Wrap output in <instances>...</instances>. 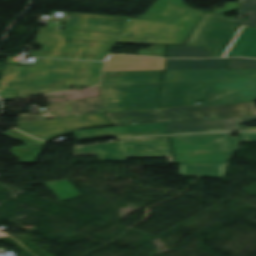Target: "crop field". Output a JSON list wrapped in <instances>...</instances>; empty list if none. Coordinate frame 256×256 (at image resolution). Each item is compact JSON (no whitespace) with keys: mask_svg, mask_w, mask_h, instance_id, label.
<instances>
[{"mask_svg":"<svg viewBox=\"0 0 256 256\" xmlns=\"http://www.w3.org/2000/svg\"><path fill=\"white\" fill-rule=\"evenodd\" d=\"M59 201L74 198L80 194L69 181L45 184Z\"/></svg>","mask_w":256,"mask_h":256,"instance_id":"24","label":"crop field"},{"mask_svg":"<svg viewBox=\"0 0 256 256\" xmlns=\"http://www.w3.org/2000/svg\"><path fill=\"white\" fill-rule=\"evenodd\" d=\"M104 71L163 70L165 59L112 55Z\"/></svg>","mask_w":256,"mask_h":256,"instance_id":"15","label":"crop field"},{"mask_svg":"<svg viewBox=\"0 0 256 256\" xmlns=\"http://www.w3.org/2000/svg\"><path fill=\"white\" fill-rule=\"evenodd\" d=\"M228 69H256V60L230 59Z\"/></svg>","mask_w":256,"mask_h":256,"instance_id":"27","label":"crop field"},{"mask_svg":"<svg viewBox=\"0 0 256 256\" xmlns=\"http://www.w3.org/2000/svg\"><path fill=\"white\" fill-rule=\"evenodd\" d=\"M44 146L12 148V152L20 160V163H35Z\"/></svg>","mask_w":256,"mask_h":256,"instance_id":"26","label":"crop field"},{"mask_svg":"<svg viewBox=\"0 0 256 256\" xmlns=\"http://www.w3.org/2000/svg\"><path fill=\"white\" fill-rule=\"evenodd\" d=\"M202 11L181 0H157L140 18H131L117 43L182 45Z\"/></svg>","mask_w":256,"mask_h":256,"instance_id":"2","label":"crop field"},{"mask_svg":"<svg viewBox=\"0 0 256 256\" xmlns=\"http://www.w3.org/2000/svg\"><path fill=\"white\" fill-rule=\"evenodd\" d=\"M130 18L72 13L64 28L121 33Z\"/></svg>","mask_w":256,"mask_h":256,"instance_id":"13","label":"crop field"},{"mask_svg":"<svg viewBox=\"0 0 256 256\" xmlns=\"http://www.w3.org/2000/svg\"><path fill=\"white\" fill-rule=\"evenodd\" d=\"M165 46H152L148 49H140L136 55H152L164 57Z\"/></svg>","mask_w":256,"mask_h":256,"instance_id":"30","label":"crop field"},{"mask_svg":"<svg viewBox=\"0 0 256 256\" xmlns=\"http://www.w3.org/2000/svg\"><path fill=\"white\" fill-rule=\"evenodd\" d=\"M70 133H72L78 141L99 138L165 134L162 123L128 127H108L100 129L74 131Z\"/></svg>","mask_w":256,"mask_h":256,"instance_id":"12","label":"crop field"},{"mask_svg":"<svg viewBox=\"0 0 256 256\" xmlns=\"http://www.w3.org/2000/svg\"><path fill=\"white\" fill-rule=\"evenodd\" d=\"M177 164H227L238 150L229 133L169 137Z\"/></svg>","mask_w":256,"mask_h":256,"instance_id":"5","label":"crop field"},{"mask_svg":"<svg viewBox=\"0 0 256 256\" xmlns=\"http://www.w3.org/2000/svg\"><path fill=\"white\" fill-rule=\"evenodd\" d=\"M207 82L203 104L256 101V70L166 71L163 84Z\"/></svg>","mask_w":256,"mask_h":256,"instance_id":"3","label":"crop field"},{"mask_svg":"<svg viewBox=\"0 0 256 256\" xmlns=\"http://www.w3.org/2000/svg\"><path fill=\"white\" fill-rule=\"evenodd\" d=\"M206 83L162 85L160 104L162 107L195 105L201 101Z\"/></svg>","mask_w":256,"mask_h":256,"instance_id":"14","label":"crop field"},{"mask_svg":"<svg viewBox=\"0 0 256 256\" xmlns=\"http://www.w3.org/2000/svg\"><path fill=\"white\" fill-rule=\"evenodd\" d=\"M228 59L168 60L166 70L226 69Z\"/></svg>","mask_w":256,"mask_h":256,"instance_id":"20","label":"crop field"},{"mask_svg":"<svg viewBox=\"0 0 256 256\" xmlns=\"http://www.w3.org/2000/svg\"><path fill=\"white\" fill-rule=\"evenodd\" d=\"M110 125L103 114L83 115L77 117L36 121L18 124L16 129L35 138L49 141L69 134L67 130Z\"/></svg>","mask_w":256,"mask_h":256,"instance_id":"7","label":"crop field"},{"mask_svg":"<svg viewBox=\"0 0 256 256\" xmlns=\"http://www.w3.org/2000/svg\"><path fill=\"white\" fill-rule=\"evenodd\" d=\"M239 5H240V3L227 2L222 9L214 8L213 12L219 13L218 16H217V19H221V20H225V21L235 23L236 19H231V18L220 16V15L225 13V12L237 9L239 7Z\"/></svg>","mask_w":256,"mask_h":256,"instance_id":"29","label":"crop field"},{"mask_svg":"<svg viewBox=\"0 0 256 256\" xmlns=\"http://www.w3.org/2000/svg\"><path fill=\"white\" fill-rule=\"evenodd\" d=\"M118 35L39 28L37 44L44 48L32 56L103 60Z\"/></svg>","mask_w":256,"mask_h":256,"instance_id":"4","label":"crop field"},{"mask_svg":"<svg viewBox=\"0 0 256 256\" xmlns=\"http://www.w3.org/2000/svg\"><path fill=\"white\" fill-rule=\"evenodd\" d=\"M113 125L161 122L159 110L107 114Z\"/></svg>","mask_w":256,"mask_h":256,"instance_id":"19","label":"crop field"},{"mask_svg":"<svg viewBox=\"0 0 256 256\" xmlns=\"http://www.w3.org/2000/svg\"><path fill=\"white\" fill-rule=\"evenodd\" d=\"M241 2L236 23L256 27V0H238ZM241 15L247 16L240 20Z\"/></svg>","mask_w":256,"mask_h":256,"instance_id":"23","label":"crop field"},{"mask_svg":"<svg viewBox=\"0 0 256 256\" xmlns=\"http://www.w3.org/2000/svg\"><path fill=\"white\" fill-rule=\"evenodd\" d=\"M48 108L53 114V118L84 113L104 112L100 97L53 103L49 105Z\"/></svg>","mask_w":256,"mask_h":256,"instance_id":"17","label":"crop field"},{"mask_svg":"<svg viewBox=\"0 0 256 256\" xmlns=\"http://www.w3.org/2000/svg\"><path fill=\"white\" fill-rule=\"evenodd\" d=\"M165 121L200 119L209 117L210 119L253 116L256 115V105L254 102L197 106L189 108H175L161 110Z\"/></svg>","mask_w":256,"mask_h":256,"instance_id":"9","label":"crop field"},{"mask_svg":"<svg viewBox=\"0 0 256 256\" xmlns=\"http://www.w3.org/2000/svg\"><path fill=\"white\" fill-rule=\"evenodd\" d=\"M42 119H46V118H43L41 116H35V115H24V116H19L18 123L28 122V121H35V120H42Z\"/></svg>","mask_w":256,"mask_h":256,"instance_id":"33","label":"crop field"},{"mask_svg":"<svg viewBox=\"0 0 256 256\" xmlns=\"http://www.w3.org/2000/svg\"><path fill=\"white\" fill-rule=\"evenodd\" d=\"M176 57H210L205 47L168 46V58Z\"/></svg>","mask_w":256,"mask_h":256,"instance_id":"22","label":"crop field"},{"mask_svg":"<svg viewBox=\"0 0 256 256\" xmlns=\"http://www.w3.org/2000/svg\"><path fill=\"white\" fill-rule=\"evenodd\" d=\"M159 85L100 86L108 112L158 108Z\"/></svg>","mask_w":256,"mask_h":256,"instance_id":"6","label":"crop field"},{"mask_svg":"<svg viewBox=\"0 0 256 256\" xmlns=\"http://www.w3.org/2000/svg\"><path fill=\"white\" fill-rule=\"evenodd\" d=\"M256 121L254 117L225 118L165 123L169 134L243 131L240 123Z\"/></svg>","mask_w":256,"mask_h":256,"instance_id":"11","label":"crop field"},{"mask_svg":"<svg viewBox=\"0 0 256 256\" xmlns=\"http://www.w3.org/2000/svg\"><path fill=\"white\" fill-rule=\"evenodd\" d=\"M25 145H35V144H43V143H46V142H41V141H38V140H35V139H32L14 129H11L5 133H3Z\"/></svg>","mask_w":256,"mask_h":256,"instance_id":"28","label":"crop field"},{"mask_svg":"<svg viewBox=\"0 0 256 256\" xmlns=\"http://www.w3.org/2000/svg\"><path fill=\"white\" fill-rule=\"evenodd\" d=\"M239 143L256 142V132L253 133H239Z\"/></svg>","mask_w":256,"mask_h":256,"instance_id":"31","label":"crop field"},{"mask_svg":"<svg viewBox=\"0 0 256 256\" xmlns=\"http://www.w3.org/2000/svg\"><path fill=\"white\" fill-rule=\"evenodd\" d=\"M215 16L205 12L186 45L205 46L211 57H221L240 25L213 20Z\"/></svg>","mask_w":256,"mask_h":256,"instance_id":"8","label":"crop field"},{"mask_svg":"<svg viewBox=\"0 0 256 256\" xmlns=\"http://www.w3.org/2000/svg\"><path fill=\"white\" fill-rule=\"evenodd\" d=\"M117 140L127 158L168 157L175 164L167 136Z\"/></svg>","mask_w":256,"mask_h":256,"instance_id":"10","label":"crop field"},{"mask_svg":"<svg viewBox=\"0 0 256 256\" xmlns=\"http://www.w3.org/2000/svg\"><path fill=\"white\" fill-rule=\"evenodd\" d=\"M245 57H253L256 58V35L253 38L250 47L248 50L245 52Z\"/></svg>","mask_w":256,"mask_h":256,"instance_id":"32","label":"crop field"},{"mask_svg":"<svg viewBox=\"0 0 256 256\" xmlns=\"http://www.w3.org/2000/svg\"><path fill=\"white\" fill-rule=\"evenodd\" d=\"M74 155H98L101 161H127L118 143L75 147Z\"/></svg>","mask_w":256,"mask_h":256,"instance_id":"18","label":"crop field"},{"mask_svg":"<svg viewBox=\"0 0 256 256\" xmlns=\"http://www.w3.org/2000/svg\"><path fill=\"white\" fill-rule=\"evenodd\" d=\"M103 63L38 59L36 67L5 65L0 89L19 90L18 98L97 85Z\"/></svg>","mask_w":256,"mask_h":256,"instance_id":"1","label":"crop field"},{"mask_svg":"<svg viewBox=\"0 0 256 256\" xmlns=\"http://www.w3.org/2000/svg\"><path fill=\"white\" fill-rule=\"evenodd\" d=\"M220 165H181V174L219 177Z\"/></svg>","mask_w":256,"mask_h":256,"instance_id":"25","label":"crop field"},{"mask_svg":"<svg viewBox=\"0 0 256 256\" xmlns=\"http://www.w3.org/2000/svg\"><path fill=\"white\" fill-rule=\"evenodd\" d=\"M253 31V28L241 26L238 33L236 34L222 57L240 56Z\"/></svg>","mask_w":256,"mask_h":256,"instance_id":"21","label":"crop field"},{"mask_svg":"<svg viewBox=\"0 0 256 256\" xmlns=\"http://www.w3.org/2000/svg\"><path fill=\"white\" fill-rule=\"evenodd\" d=\"M247 130H256V127H246Z\"/></svg>","mask_w":256,"mask_h":256,"instance_id":"34","label":"crop field"},{"mask_svg":"<svg viewBox=\"0 0 256 256\" xmlns=\"http://www.w3.org/2000/svg\"><path fill=\"white\" fill-rule=\"evenodd\" d=\"M162 72H104L100 85L159 84Z\"/></svg>","mask_w":256,"mask_h":256,"instance_id":"16","label":"crop field"}]
</instances>
